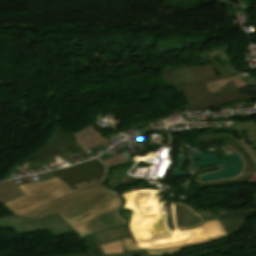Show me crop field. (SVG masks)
Masks as SVG:
<instances>
[{"label":"crop field","mask_w":256,"mask_h":256,"mask_svg":"<svg viewBox=\"0 0 256 256\" xmlns=\"http://www.w3.org/2000/svg\"><path fill=\"white\" fill-rule=\"evenodd\" d=\"M72 190L55 178L19 186L26 194L6 202L13 213L38 219L56 211L81 235L123 223L117 215L120 201L101 186V178L76 184Z\"/></svg>","instance_id":"1"},{"label":"crop field","mask_w":256,"mask_h":256,"mask_svg":"<svg viewBox=\"0 0 256 256\" xmlns=\"http://www.w3.org/2000/svg\"><path fill=\"white\" fill-rule=\"evenodd\" d=\"M0 229H13L16 234L50 231L55 236L71 232L81 236L56 212L39 220L14 214L6 215L0 218Z\"/></svg>","instance_id":"2"},{"label":"crop field","mask_w":256,"mask_h":256,"mask_svg":"<svg viewBox=\"0 0 256 256\" xmlns=\"http://www.w3.org/2000/svg\"><path fill=\"white\" fill-rule=\"evenodd\" d=\"M187 102V110L212 108L227 102L245 99L240 90L210 97L205 85L181 91Z\"/></svg>","instance_id":"3"},{"label":"crop field","mask_w":256,"mask_h":256,"mask_svg":"<svg viewBox=\"0 0 256 256\" xmlns=\"http://www.w3.org/2000/svg\"><path fill=\"white\" fill-rule=\"evenodd\" d=\"M104 170L105 167L97 159H93L52 173L74 189L76 183L102 177Z\"/></svg>","instance_id":"4"},{"label":"crop field","mask_w":256,"mask_h":256,"mask_svg":"<svg viewBox=\"0 0 256 256\" xmlns=\"http://www.w3.org/2000/svg\"><path fill=\"white\" fill-rule=\"evenodd\" d=\"M73 147L85 159H88V157L78 148L75 142L60 128V126H56L54 129V134L51 136L50 140L33 155L26 158L21 164H24L32 159L38 162L55 153L60 155Z\"/></svg>","instance_id":"5"},{"label":"crop field","mask_w":256,"mask_h":256,"mask_svg":"<svg viewBox=\"0 0 256 256\" xmlns=\"http://www.w3.org/2000/svg\"><path fill=\"white\" fill-rule=\"evenodd\" d=\"M70 134H73L76 137L75 142L83 152H86L89 149L95 148L109 141L105 139L102 134L98 133L93 128V124H90L89 126L81 129L76 133H70Z\"/></svg>","instance_id":"6"},{"label":"crop field","mask_w":256,"mask_h":256,"mask_svg":"<svg viewBox=\"0 0 256 256\" xmlns=\"http://www.w3.org/2000/svg\"><path fill=\"white\" fill-rule=\"evenodd\" d=\"M224 144L226 146H231L233 147L239 154L240 156L244 159L245 161V168L242 172V174L235 178V179H229V180H222V181H215V182H207V183H200L203 186H210V185H219V184H227V183H235V182H241L244 181L245 179H247L249 176L252 175V173L255 171V166L253 165V163L250 161V159L247 157V155L240 149V147L230 141V140H226V139H221Z\"/></svg>","instance_id":"7"},{"label":"crop field","mask_w":256,"mask_h":256,"mask_svg":"<svg viewBox=\"0 0 256 256\" xmlns=\"http://www.w3.org/2000/svg\"><path fill=\"white\" fill-rule=\"evenodd\" d=\"M88 247L91 249L89 253H76V254H68V255H59V256H147V252H131V253H121V254H109L102 255L98 246L94 243V241L90 238L89 234L85 236H81Z\"/></svg>","instance_id":"8"},{"label":"crop field","mask_w":256,"mask_h":256,"mask_svg":"<svg viewBox=\"0 0 256 256\" xmlns=\"http://www.w3.org/2000/svg\"><path fill=\"white\" fill-rule=\"evenodd\" d=\"M22 195H24V193L12 180L0 182V203L16 199Z\"/></svg>","instance_id":"9"},{"label":"crop field","mask_w":256,"mask_h":256,"mask_svg":"<svg viewBox=\"0 0 256 256\" xmlns=\"http://www.w3.org/2000/svg\"><path fill=\"white\" fill-rule=\"evenodd\" d=\"M107 167L109 166H116V165H120L122 163H125V160L121 157V155H117L114 157H111L109 159H106L104 161H102Z\"/></svg>","instance_id":"10"},{"label":"crop field","mask_w":256,"mask_h":256,"mask_svg":"<svg viewBox=\"0 0 256 256\" xmlns=\"http://www.w3.org/2000/svg\"><path fill=\"white\" fill-rule=\"evenodd\" d=\"M121 155L126 160V162L128 163V158H129L130 154L126 151V152L122 153Z\"/></svg>","instance_id":"11"}]
</instances>
